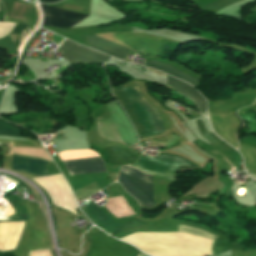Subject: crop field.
I'll use <instances>...</instances> for the list:
<instances>
[{
	"instance_id": "crop-field-1",
	"label": "crop field",
	"mask_w": 256,
	"mask_h": 256,
	"mask_svg": "<svg viewBox=\"0 0 256 256\" xmlns=\"http://www.w3.org/2000/svg\"><path fill=\"white\" fill-rule=\"evenodd\" d=\"M133 89L137 93V95L140 97V99L143 101L145 106L148 108L150 113L152 114L154 120L156 121L157 125L159 126L161 132L165 131L163 123L159 117V114L157 110L141 95L139 92L137 86H133ZM132 87L125 88L124 90L127 92L129 98L131 99L133 105L135 106L137 112L139 113L141 119L143 120L148 132L150 135L160 133V130L158 126L156 125L155 121L153 120L151 114L146 109L144 104L141 102V100L138 98L136 93ZM123 89L114 90L113 95L118 100V102L122 105V107L127 112L128 116L130 117L133 126L136 130V133L138 137H144L148 136V133L138 115L136 112L134 106L132 105L130 99L128 98L126 92Z\"/></svg>"
},
{
	"instance_id": "crop-field-2",
	"label": "crop field",
	"mask_w": 256,
	"mask_h": 256,
	"mask_svg": "<svg viewBox=\"0 0 256 256\" xmlns=\"http://www.w3.org/2000/svg\"><path fill=\"white\" fill-rule=\"evenodd\" d=\"M86 235L91 241L90 250L86 256H137L140 252L97 229L90 230Z\"/></svg>"
},
{
	"instance_id": "crop-field-3",
	"label": "crop field",
	"mask_w": 256,
	"mask_h": 256,
	"mask_svg": "<svg viewBox=\"0 0 256 256\" xmlns=\"http://www.w3.org/2000/svg\"><path fill=\"white\" fill-rule=\"evenodd\" d=\"M121 172L127 174L141 189L153 198V189L151 186L152 177L127 166L121 167ZM118 181L123 185L126 191L136 197L143 205L149 207L155 206L154 200L141 190L128 176L121 173Z\"/></svg>"
},
{
	"instance_id": "crop-field-4",
	"label": "crop field",
	"mask_w": 256,
	"mask_h": 256,
	"mask_svg": "<svg viewBox=\"0 0 256 256\" xmlns=\"http://www.w3.org/2000/svg\"><path fill=\"white\" fill-rule=\"evenodd\" d=\"M14 152L31 155V156L43 157L45 159L50 160L45 150L14 147ZM47 163L49 162L35 159V158L14 155L13 162H12V170L25 172V173H33L37 176H48L44 167V165H46Z\"/></svg>"
},
{
	"instance_id": "crop-field-5",
	"label": "crop field",
	"mask_w": 256,
	"mask_h": 256,
	"mask_svg": "<svg viewBox=\"0 0 256 256\" xmlns=\"http://www.w3.org/2000/svg\"><path fill=\"white\" fill-rule=\"evenodd\" d=\"M155 159L173 162V163H177V164L189 165L186 161L179 159V158H175V157L160 155V156L156 157ZM155 159H149V158H145V157L141 156L139 158V160L134 164V166H136L146 172H149V173H152V174H155L158 176H162V177H165V178L175 181L176 173H177V169H178L179 165L164 162V161H159V160H155Z\"/></svg>"
},
{
	"instance_id": "crop-field-6",
	"label": "crop field",
	"mask_w": 256,
	"mask_h": 256,
	"mask_svg": "<svg viewBox=\"0 0 256 256\" xmlns=\"http://www.w3.org/2000/svg\"><path fill=\"white\" fill-rule=\"evenodd\" d=\"M58 49L60 53L64 55L66 60L69 61V63H102L110 58L101 53L78 46L66 39L62 42Z\"/></svg>"
},
{
	"instance_id": "crop-field-7",
	"label": "crop field",
	"mask_w": 256,
	"mask_h": 256,
	"mask_svg": "<svg viewBox=\"0 0 256 256\" xmlns=\"http://www.w3.org/2000/svg\"><path fill=\"white\" fill-rule=\"evenodd\" d=\"M40 6L44 14L42 25L65 28L87 17V15L74 13V12H70L62 9H57V8H53L45 5H40Z\"/></svg>"
},
{
	"instance_id": "crop-field-8",
	"label": "crop field",
	"mask_w": 256,
	"mask_h": 256,
	"mask_svg": "<svg viewBox=\"0 0 256 256\" xmlns=\"http://www.w3.org/2000/svg\"><path fill=\"white\" fill-rule=\"evenodd\" d=\"M87 208L83 209L86 214L91 218V220L99 227L103 228L105 231L109 232L110 234L117 231L121 226L117 223L110 220L96 204H89L86 206ZM82 210V211H83ZM83 211V212H84ZM84 212V213H85ZM87 216V217H88ZM88 217V218H89ZM89 218V219H90ZM102 229V230H103ZM109 234V235H110Z\"/></svg>"
},
{
	"instance_id": "crop-field-9",
	"label": "crop field",
	"mask_w": 256,
	"mask_h": 256,
	"mask_svg": "<svg viewBox=\"0 0 256 256\" xmlns=\"http://www.w3.org/2000/svg\"><path fill=\"white\" fill-rule=\"evenodd\" d=\"M166 78H167V87L191 98L194 101V103L197 105L201 113L206 111L205 109L206 103L204 99L199 95V93L194 88L188 86L187 84L181 81L173 79L167 75H166Z\"/></svg>"
},
{
	"instance_id": "crop-field-10",
	"label": "crop field",
	"mask_w": 256,
	"mask_h": 256,
	"mask_svg": "<svg viewBox=\"0 0 256 256\" xmlns=\"http://www.w3.org/2000/svg\"><path fill=\"white\" fill-rule=\"evenodd\" d=\"M86 39L91 48L106 53L108 55H113L122 60H124L129 53V50L116 46L112 43L97 39L91 35H87Z\"/></svg>"
},
{
	"instance_id": "crop-field-11",
	"label": "crop field",
	"mask_w": 256,
	"mask_h": 256,
	"mask_svg": "<svg viewBox=\"0 0 256 256\" xmlns=\"http://www.w3.org/2000/svg\"><path fill=\"white\" fill-rule=\"evenodd\" d=\"M69 175L105 172L103 161L65 164Z\"/></svg>"
},
{
	"instance_id": "crop-field-12",
	"label": "crop field",
	"mask_w": 256,
	"mask_h": 256,
	"mask_svg": "<svg viewBox=\"0 0 256 256\" xmlns=\"http://www.w3.org/2000/svg\"><path fill=\"white\" fill-rule=\"evenodd\" d=\"M147 67H151V68H155V69H159V70H163V71H166L182 80H185L191 84H193L194 86L197 84V79H195L193 76L175 68V67H172V66H169V65H165V64H162V63H159V62H155V61H152L150 60L148 62V64L146 65ZM165 72V73H166Z\"/></svg>"
},
{
	"instance_id": "crop-field-13",
	"label": "crop field",
	"mask_w": 256,
	"mask_h": 256,
	"mask_svg": "<svg viewBox=\"0 0 256 256\" xmlns=\"http://www.w3.org/2000/svg\"><path fill=\"white\" fill-rule=\"evenodd\" d=\"M50 6L89 15V4L77 0H63Z\"/></svg>"
},
{
	"instance_id": "crop-field-14",
	"label": "crop field",
	"mask_w": 256,
	"mask_h": 256,
	"mask_svg": "<svg viewBox=\"0 0 256 256\" xmlns=\"http://www.w3.org/2000/svg\"><path fill=\"white\" fill-rule=\"evenodd\" d=\"M29 33V28L26 25L20 23H18L14 30L11 32L9 36L17 51L19 50L20 43Z\"/></svg>"
},
{
	"instance_id": "crop-field-15",
	"label": "crop field",
	"mask_w": 256,
	"mask_h": 256,
	"mask_svg": "<svg viewBox=\"0 0 256 256\" xmlns=\"http://www.w3.org/2000/svg\"><path fill=\"white\" fill-rule=\"evenodd\" d=\"M178 232L207 237V238H211L213 240H215L217 238V236H215L207 231L200 230V229H197L194 227L183 226V225H179Z\"/></svg>"
},
{
	"instance_id": "crop-field-16",
	"label": "crop field",
	"mask_w": 256,
	"mask_h": 256,
	"mask_svg": "<svg viewBox=\"0 0 256 256\" xmlns=\"http://www.w3.org/2000/svg\"><path fill=\"white\" fill-rule=\"evenodd\" d=\"M0 135H12L21 137L20 129L0 119Z\"/></svg>"
},
{
	"instance_id": "crop-field-17",
	"label": "crop field",
	"mask_w": 256,
	"mask_h": 256,
	"mask_svg": "<svg viewBox=\"0 0 256 256\" xmlns=\"http://www.w3.org/2000/svg\"><path fill=\"white\" fill-rule=\"evenodd\" d=\"M236 1H239V0H216L208 5L203 6L202 8L219 11V10L233 4Z\"/></svg>"
},
{
	"instance_id": "crop-field-18",
	"label": "crop field",
	"mask_w": 256,
	"mask_h": 256,
	"mask_svg": "<svg viewBox=\"0 0 256 256\" xmlns=\"http://www.w3.org/2000/svg\"><path fill=\"white\" fill-rule=\"evenodd\" d=\"M14 25V23L0 22V38L5 36Z\"/></svg>"
},
{
	"instance_id": "crop-field-19",
	"label": "crop field",
	"mask_w": 256,
	"mask_h": 256,
	"mask_svg": "<svg viewBox=\"0 0 256 256\" xmlns=\"http://www.w3.org/2000/svg\"><path fill=\"white\" fill-rule=\"evenodd\" d=\"M53 1H56V0H39L40 3H48Z\"/></svg>"
},
{
	"instance_id": "crop-field-20",
	"label": "crop field",
	"mask_w": 256,
	"mask_h": 256,
	"mask_svg": "<svg viewBox=\"0 0 256 256\" xmlns=\"http://www.w3.org/2000/svg\"><path fill=\"white\" fill-rule=\"evenodd\" d=\"M138 256H147V255L140 252V254Z\"/></svg>"
}]
</instances>
